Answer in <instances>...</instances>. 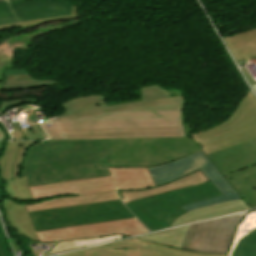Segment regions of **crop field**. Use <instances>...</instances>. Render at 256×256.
I'll list each match as a JSON object with an SVG mask.
<instances>
[{"mask_svg":"<svg viewBox=\"0 0 256 256\" xmlns=\"http://www.w3.org/2000/svg\"><path fill=\"white\" fill-rule=\"evenodd\" d=\"M3 239H5L2 228L0 226V241H2ZM0 256H1V252H0Z\"/></svg>","mask_w":256,"mask_h":256,"instance_id":"crop-field-33","label":"crop field"},{"mask_svg":"<svg viewBox=\"0 0 256 256\" xmlns=\"http://www.w3.org/2000/svg\"><path fill=\"white\" fill-rule=\"evenodd\" d=\"M249 209L243 199L224 202L222 204L213 205L198 210L190 211L180 216L170 227L191 223L197 220L207 219L223 214L238 212Z\"/></svg>","mask_w":256,"mask_h":256,"instance_id":"crop-field-16","label":"crop field"},{"mask_svg":"<svg viewBox=\"0 0 256 256\" xmlns=\"http://www.w3.org/2000/svg\"><path fill=\"white\" fill-rule=\"evenodd\" d=\"M127 236H112V237H104V238H98V239H85V240H78V241H70V242H61L58 243L50 252L42 255H50V254H55V253H61V252H66L98 243H103V242H108L120 238H124Z\"/></svg>","mask_w":256,"mask_h":256,"instance_id":"crop-field-21","label":"crop field"},{"mask_svg":"<svg viewBox=\"0 0 256 256\" xmlns=\"http://www.w3.org/2000/svg\"><path fill=\"white\" fill-rule=\"evenodd\" d=\"M32 110H26L23 113H27V120L30 127L23 128L22 131L26 137V139H45V134L39 128V126L35 123V111L29 113Z\"/></svg>","mask_w":256,"mask_h":256,"instance_id":"crop-field-26","label":"crop field"},{"mask_svg":"<svg viewBox=\"0 0 256 256\" xmlns=\"http://www.w3.org/2000/svg\"><path fill=\"white\" fill-rule=\"evenodd\" d=\"M4 138H5V136H4L3 132L0 129V139H4Z\"/></svg>","mask_w":256,"mask_h":256,"instance_id":"crop-field-34","label":"crop field"},{"mask_svg":"<svg viewBox=\"0 0 256 256\" xmlns=\"http://www.w3.org/2000/svg\"><path fill=\"white\" fill-rule=\"evenodd\" d=\"M2 207L6 212V221L9 225L14 227L19 234L39 242L25 205L15 204L11 200L4 199Z\"/></svg>","mask_w":256,"mask_h":256,"instance_id":"crop-field-17","label":"crop field"},{"mask_svg":"<svg viewBox=\"0 0 256 256\" xmlns=\"http://www.w3.org/2000/svg\"><path fill=\"white\" fill-rule=\"evenodd\" d=\"M0 249L2 252V256H11L6 240L0 243Z\"/></svg>","mask_w":256,"mask_h":256,"instance_id":"crop-field-30","label":"crop field"},{"mask_svg":"<svg viewBox=\"0 0 256 256\" xmlns=\"http://www.w3.org/2000/svg\"><path fill=\"white\" fill-rule=\"evenodd\" d=\"M243 73L245 74L247 80L249 81L250 85L253 87V89L256 91V85L254 84L252 78L250 77L249 73L247 72L246 68H241Z\"/></svg>","mask_w":256,"mask_h":256,"instance_id":"crop-field-31","label":"crop field"},{"mask_svg":"<svg viewBox=\"0 0 256 256\" xmlns=\"http://www.w3.org/2000/svg\"><path fill=\"white\" fill-rule=\"evenodd\" d=\"M148 169L156 186L166 184L200 169L215 187L222 192L223 195L221 196L182 206L187 212L204 206L241 198L202 151L170 164Z\"/></svg>","mask_w":256,"mask_h":256,"instance_id":"crop-field-6","label":"crop field"},{"mask_svg":"<svg viewBox=\"0 0 256 256\" xmlns=\"http://www.w3.org/2000/svg\"><path fill=\"white\" fill-rule=\"evenodd\" d=\"M72 11H73V16L57 17V18H49V19H41V20H33V21L12 23V24H8V25L0 26V29H6V28L22 25L24 30H28V29L35 28V27H37V26H39L43 23L49 22V21L79 18L78 7L77 6H72Z\"/></svg>","mask_w":256,"mask_h":256,"instance_id":"crop-field-24","label":"crop field"},{"mask_svg":"<svg viewBox=\"0 0 256 256\" xmlns=\"http://www.w3.org/2000/svg\"><path fill=\"white\" fill-rule=\"evenodd\" d=\"M126 206L150 231L167 228L176 220L154 196L133 201Z\"/></svg>","mask_w":256,"mask_h":256,"instance_id":"crop-field-12","label":"crop field"},{"mask_svg":"<svg viewBox=\"0 0 256 256\" xmlns=\"http://www.w3.org/2000/svg\"><path fill=\"white\" fill-rule=\"evenodd\" d=\"M218 195H221V192L208 181L201 185L160 194L155 197L177 219L185 213L180 206Z\"/></svg>","mask_w":256,"mask_h":256,"instance_id":"crop-field-11","label":"crop field"},{"mask_svg":"<svg viewBox=\"0 0 256 256\" xmlns=\"http://www.w3.org/2000/svg\"><path fill=\"white\" fill-rule=\"evenodd\" d=\"M57 82L52 80H18V81H4L0 90H11V89H19V88H27V87H39V86H49L55 84Z\"/></svg>","mask_w":256,"mask_h":256,"instance_id":"crop-field-25","label":"crop field"},{"mask_svg":"<svg viewBox=\"0 0 256 256\" xmlns=\"http://www.w3.org/2000/svg\"><path fill=\"white\" fill-rule=\"evenodd\" d=\"M232 55L234 56L237 62L242 61L244 59L256 57V44L234 51L232 52Z\"/></svg>","mask_w":256,"mask_h":256,"instance_id":"crop-field-27","label":"crop field"},{"mask_svg":"<svg viewBox=\"0 0 256 256\" xmlns=\"http://www.w3.org/2000/svg\"><path fill=\"white\" fill-rule=\"evenodd\" d=\"M232 256H256V231L238 241Z\"/></svg>","mask_w":256,"mask_h":256,"instance_id":"crop-field-23","label":"crop field"},{"mask_svg":"<svg viewBox=\"0 0 256 256\" xmlns=\"http://www.w3.org/2000/svg\"><path fill=\"white\" fill-rule=\"evenodd\" d=\"M4 190L7 196L12 199H17L20 201L33 200L28 188V182L26 177L6 181Z\"/></svg>","mask_w":256,"mask_h":256,"instance_id":"crop-field-20","label":"crop field"},{"mask_svg":"<svg viewBox=\"0 0 256 256\" xmlns=\"http://www.w3.org/2000/svg\"><path fill=\"white\" fill-rule=\"evenodd\" d=\"M190 136L249 208L256 207V97L252 92L224 123Z\"/></svg>","mask_w":256,"mask_h":256,"instance_id":"crop-field-3","label":"crop field"},{"mask_svg":"<svg viewBox=\"0 0 256 256\" xmlns=\"http://www.w3.org/2000/svg\"><path fill=\"white\" fill-rule=\"evenodd\" d=\"M29 216L36 231L135 217L120 200L32 212Z\"/></svg>","mask_w":256,"mask_h":256,"instance_id":"crop-field-5","label":"crop field"},{"mask_svg":"<svg viewBox=\"0 0 256 256\" xmlns=\"http://www.w3.org/2000/svg\"><path fill=\"white\" fill-rule=\"evenodd\" d=\"M186 101H187V97H183V105H182V122H183V125H184V130H185V136H188L190 137L188 134L194 132L193 129L191 128V126L188 124V122L185 120V117H184V111H183V108L186 104Z\"/></svg>","mask_w":256,"mask_h":256,"instance_id":"crop-field-29","label":"crop field"},{"mask_svg":"<svg viewBox=\"0 0 256 256\" xmlns=\"http://www.w3.org/2000/svg\"><path fill=\"white\" fill-rule=\"evenodd\" d=\"M111 176L74 182L29 187L35 199L57 195H85L113 190H138L154 187L147 168H109Z\"/></svg>","mask_w":256,"mask_h":256,"instance_id":"crop-field-4","label":"crop field"},{"mask_svg":"<svg viewBox=\"0 0 256 256\" xmlns=\"http://www.w3.org/2000/svg\"><path fill=\"white\" fill-rule=\"evenodd\" d=\"M188 227L189 226L168 230L166 232L147 235L139 238L180 249Z\"/></svg>","mask_w":256,"mask_h":256,"instance_id":"crop-field-19","label":"crop field"},{"mask_svg":"<svg viewBox=\"0 0 256 256\" xmlns=\"http://www.w3.org/2000/svg\"><path fill=\"white\" fill-rule=\"evenodd\" d=\"M230 52L256 43V29L223 38Z\"/></svg>","mask_w":256,"mask_h":256,"instance_id":"crop-field-22","label":"crop field"},{"mask_svg":"<svg viewBox=\"0 0 256 256\" xmlns=\"http://www.w3.org/2000/svg\"><path fill=\"white\" fill-rule=\"evenodd\" d=\"M36 99H37V98L22 99V100H14V101H6V102H3V106H2V108L0 109V113H1L3 110H5L6 108L10 107V106L17 105V104H21V103H24V102H36Z\"/></svg>","mask_w":256,"mask_h":256,"instance_id":"crop-field-28","label":"crop field"},{"mask_svg":"<svg viewBox=\"0 0 256 256\" xmlns=\"http://www.w3.org/2000/svg\"><path fill=\"white\" fill-rule=\"evenodd\" d=\"M12 135L14 139H20L22 136H24L21 129L14 130V132H12Z\"/></svg>","mask_w":256,"mask_h":256,"instance_id":"crop-field-32","label":"crop field"},{"mask_svg":"<svg viewBox=\"0 0 256 256\" xmlns=\"http://www.w3.org/2000/svg\"><path fill=\"white\" fill-rule=\"evenodd\" d=\"M28 149L29 186L108 176L107 167H154L200 151L191 138L43 141ZM66 171V173H64Z\"/></svg>","mask_w":256,"mask_h":256,"instance_id":"crop-field-1","label":"crop field"},{"mask_svg":"<svg viewBox=\"0 0 256 256\" xmlns=\"http://www.w3.org/2000/svg\"><path fill=\"white\" fill-rule=\"evenodd\" d=\"M139 91H140L141 98H139L136 101H129L125 103L105 104L104 98L102 96H89V97H81L76 100L66 102L65 104H66L68 114H72V113L82 112V111H86V110H90L98 107L121 105V104L133 103V102H140V101L149 100V99L169 97L167 92L163 90L162 87L159 85L143 87L139 89ZM68 114H65V115H68ZM65 115L44 119V121L52 120Z\"/></svg>","mask_w":256,"mask_h":256,"instance_id":"crop-field-13","label":"crop field"},{"mask_svg":"<svg viewBox=\"0 0 256 256\" xmlns=\"http://www.w3.org/2000/svg\"><path fill=\"white\" fill-rule=\"evenodd\" d=\"M120 199L117 192H106L92 195H85L80 197H66L61 199H55L50 201H43L38 204L26 205L28 212L31 211H39V210H47L59 207H66L72 205H79L85 203H92L98 201H106V200H116Z\"/></svg>","mask_w":256,"mask_h":256,"instance_id":"crop-field-18","label":"crop field"},{"mask_svg":"<svg viewBox=\"0 0 256 256\" xmlns=\"http://www.w3.org/2000/svg\"><path fill=\"white\" fill-rule=\"evenodd\" d=\"M61 256H228L195 253L147 242L139 238L129 239Z\"/></svg>","mask_w":256,"mask_h":256,"instance_id":"crop-field-9","label":"crop field"},{"mask_svg":"<svg viewBox=\"0 0 256 256\" xmlns=\"http://www.w3.org/2000/svg\"><path fill=\"white\" fill-rule=\"evenodd\" d=\"M206 181H208V179L200 171H198L196 173L187 175L183 178H180L166 185L145 189V190H139V191H117V192L120 198L126 204L136 199L145 198V197H149V196L160 194V193H166L169 191H173V190H177V189H181L189 186H194L196 184H200Z\"/></svg>","mask_w":256,"mask_h":256,"instance_id":"crop-field-15","label":"crop field"},{"mask_svg":"<svg viewBox=\"0 0 256 256\" xmlns=\"http://www.w3.org/2000/svg\"><path fill=\"white\" fill-rule=\"evenodd\" d=\"M182 96L94 109L38 124L49 140L184 136Z\"/></svg>","mask_w":256,"mask_h":256,"instance_id":"crop-field-2","label":"crop field"},{"mask_svg":"<svg viewBox=\"0 0 256 256\" xmlns=\"http://www.w3.org/2000/svg\"><path fill=\"white\" fill-rule=\"evenodd\" d=\"M4 141H0V151L2 149V144H3Z\"/></svg>","mask_w":256,"mask_h":256,"instance_id":"crop-field-35","label":"crop field"},{"mask_svg":"<svg viewBox=\"0 0 256 256\" xmlns=\"http://www.w3.org/2000/svg\"><path fill=\"white\" fill-rule=\"evenodd\" d=\"M245 214L246 212L191 225L181 249L226 254L235 227Z\"/></svg>","mask_w":256,"mask_h":256,"instance_id":"crop-field-7","label":"crop field"},{"mask_svg":"<svg viewBox=\"0 0 256 256\" xmlns=\"http://www.w3.org/2000/svg\"><path fill=\"white\" fill-rule=\"evenodd\" d=\"M149 232L137 218L125 219L86 226L36 232L40 242H60L111 235L134 236Z\"/></svg>","mask_w":256,"mask_h":256,"instance_id":"crop-field-8","label":"crop field"},{"mask_svg":"<svg viewBox=\"0 0 256 256\" xmlns=\"http://www.w3.org/2000/svg\"><path fill=\"white\" fill-rule=\"evenodd\" d=\"M39 141H13L5 146V153L0 157L1 178L5 180L18 178L28 147Z\"/></svg>","mask_w":256,"mask_h":256,"instance_id":"crop-field-14","label":"crop field"},{"mask_svg":"<svg viewBox=\"0 0 256 256\" xmlns=\"http://www.w3.org/2000/svg\"><path fill=\"white\" fill-rule=\"evenodd\" d=\"M66 15H72L67 0H0V25Z\"/></svg>","mask_w":256,"mask_h":256,"instance_id":"crop-field-10","label":"crop field"}]
</instances>
